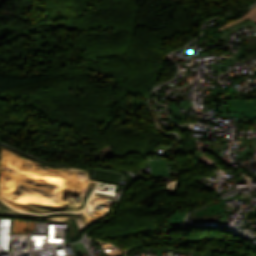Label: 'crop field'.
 <instances>
[{
  "mask_svg": "<svg viewBox=\"0 0 256 256\" xmlns=\"http://www.w3.org/2000/svg\"><path fill=\"white\" fill-rule=\"evenodd\" d=\"M247 17L252 19V20H254V21H256V6L251 11H249L245 16H243V17H241V18H239V19H237V20H235V21H233V22H231L229 24L224 25V27L221 28V29H224V28H227V27H229L231 25H234V24H236V23L246 19ZM221 29H219V30H221Z\"/></svg>",
  "mask_w": 256,
  "mask_h": 256,
  "instance_id": "obj_3",
  "label": "crop field"
},
{
  "mask_svg": "<svg viewBox=\"0 0 256 256\" xmlns=\"http://www.w3.org/2000/svg\"><path fill=\"white\" fill-rule=\"evenodd\" d=\"M226 35H227V33L225 32V33L221 36V38L224 39Z\"/></svg>",
  "mask_w": 256,
  "mask_h": 256,
  "instance_id": "obj_5",
  "label": "crop field"
},
{
  "mask_svg": "<svg viewBox=\"0 0 256 256\" xmlns=\"http://www.w3.org/2000/svg\"><path fill=\"white\" fill-rule=\"evenodd\" d=\"M219 112H243V113H256L254 101H243L228 99L223 100L218 110Z\"/></svg>",
  "mask_w": 256,
  "mask_h": 256,
  "instance_id": "obj_1",
  "label": "crop field"
},
{
  "mask_svg": "<svg viewBox=\"0 0 256 256\" xmlns=\"http://www.w3.org/2000/svg\"><path fill=\"white\" fill-rule=\"evenodd\" d=\"M227 93L226 89H216L214 88V90L212 91V93L208 96V98H213L214 95H221L222 97V94H225ZM215 97V96H214ZM230 98L229 96L227 97H222V99H228Z\"/></svg>",
  "mask_w": 256,
  "mask_h": 256,
  "instance_id": "obj_4",
  "label": "crop field"
},
{
  "mask_svg": "<svg viewBox=\"0 0 256 256\" xmlns=\"http://www.w3.org/2000/svg\"><path fill=\"white\" fill-rule=\"evenodd\" d=\"M224 206H226V204H225V201L222 200L221 203L213 205L207 209L197 211V212H195V214H197L198 216L203 215L205 213H207V215L215 214V213L224 211L222 208Z\"/></svg>",
  "mask_w": 256,
  "mask_h": 256,
  "instance_id": "obj_2",
  "label": "crop field"
}]
</instances>
